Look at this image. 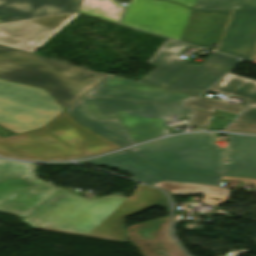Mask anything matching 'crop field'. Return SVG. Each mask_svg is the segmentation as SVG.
<instances>
[{"mask_svg":"<svg viewBox=\"0 0 256 256\" xmlns=\"http://www.w3.org/2000/svg\"><path fill=\"white\" fill-rule=\"evenodd\" d=\"M162 192L139 184L130 198L88 199L57 188L22 221L33 229L128 243L125 217L158 205Z\"/></svg>","mask_w":256,"mask_h":256,"instance_id":"8a807250","label":"crop field"},{"mask_svg":"<svg viewBox=\"0 0 256 256\" xmlns=\"http://www.w3.org/2000/svg\"><path fill=\"white\" fill-rule=\"evenodd\" d=\"M68 112L82 125L126 146L168 134L165 117L188 116L181 105L84 96Z\"/></svg>","mask_w":256,"mask_h":256,"instance_id":"ac0d7876","label":"crop field"},{"mask_svg":"<svg viewBox=\"0 0 256 256\" xmlns=\"http://www.w3.org/2000/svg\"><path fill=\"white\" fill-rule=\"evenodd\" d=\"M119 148L79 125L67 112L43 129L0 137V156L23 160H68Z\"/></svg>","mask_w":256,"mask_h":256,"instance_id":"34b2d1b8","label":"crop field"},{"mask_svg":"<svg viewBox=\"0 0 256 256\" xmlns=\"http://www.w3.org/2000/svg\"><path fill=\"white\" fill-rule=\"evenodd\" d=\"M109 74L0 45V78L47 88L68 108Z\"/></svg>","mask_w":256,"mask_h":256,"instance_id":"412701ff","label":"crop field"},{"mask_svg":"<svg viewBox=\"0 0 256 256\" xmlns=\"http://www.w3.org/2000/svg\"><path fill=\"white\" fill-rule=\"evenodd\" d=\"M187 46L167 39L147 61L157 66L139 82L198 96L240 62L235 57L213 53L200 65L193 64L176 56Z\"/></svg>","mask_w":256,"mask_h":256,"instance_id":"f4fd0767","label":"crop field"},{"mask_svg":"<svg viewBox=\"0 0 256 256\" xmlns=\"http://www.w3.org/2000/svg\"><path fill=\"white\" fill-rule=\"evenodd\" d=\"M215 133L179 135L129 149L141 160L164 170L220 175L224 149Z\"/></svg>","mask_w":256,"mask_h":256,"instance_id":"dd49c442","label":"crop field"},{"mask_svg":"<svg viewBox=\"0 0 256 256\" xmlns=\"http://www.w3.org/2000/svg\"><path fill=\"white\" fill-rule=\"evenodd\" d=\"M62 112L45 90L0 80V126L15 133L40 129Z\"/></svg>","mask_w":256,"mask_h":256,"instance_id":"e52e79f7","label":"crop field"},{"mask_svg":"<svg viewBox=\"0 0 256 256\" xmlns=\"http://www.w3.org/2000/svg\"><path fill=\"white\" fill-rule=\"evenodd\" d=\"M57 187L35 175V163L0 159V212L24 217Z\"/></svg>","mask_w":256,"mask_h":256,"instance_id":"d8731c3e","label":"crop field"},{"mask_svg":"<svg viewBox=\"0 0 256 256\" xmlns=\"http://www.w3.org/2000/svg\"><path fill=\"white\" fill-rule=\"evenodd\" d=\"M190 11L169 1L131 0L121 23L180 40Z\"/></svg>","mask_w":256,"mask_h":256,"instance_id":"5a996713","label":"crop field"},{"mask_svg":"<svg viewBox=\"0 0 256 256\" xmlns=\"http://www.w3.org/2000/svg\"><path fill=\"white\" fill-rule=\"evenodd\" d=\"M78 13L0 24V44L33 53Z\"/></svg>","mask_w":256,"mask_h":256,"instance_id":"3316defc","label":"crop field"},{"mask_svg":"<svg viewBox=\"0 0 256 256\" xmlns=\"http://www.w3.org/2000/svg\"><path fill=\"white\" fill-rule=\"evenodd\" d=\"M83 162L123 170L131 175H134L132 179L148 184L162 180H172L217 185L220 179V177L210 175L164 172L158 168L140 161L127 151L102 158L85 160Z\"/></svg>","mask_w":256,"mask_h":256,"instance_id":"28ad6ade","label":"crop field"},{"mask_svg":"<svg viewBox=\"0 0 256 256\" xmlns=\"http://www.w3.org/2000/svg\"><path fill=\"white\" fill-rule=\"evenodd\" d=\"M86 95L182 104L192 98L173 91L110 75Z\"/></svg>","mask_w":256,"mask_h":256,"instance_id":"d1516ede","label":"crop field"},{"mask_svg":"<svg viewBox=\"0 0 256 256\" xmlns=\"http://www.w3.org/2000/svg\"><path fill=\"white\" fill-rule=\"evenodd\" d=\"M128 237L144 256H186L170 238L169 216L130 226Z\"/></svg>","mask_w":256,"mask_h":256,"instance_id":"22f410ed","label":"crop field"},{"mask_svg":"<svg viewBox=\"0 0 256 256\" xmlns=\"http://www.w3.org/2000/svg\"><path fill=\"white\" fill-rule=\"evenodd\" d=\"M256 43V11L233 10L216 51L249 59Z\"/></svg>","mask_w":256,"mask_h":256,"instance_id":"cbeb9de0","label":"crop field"},{"mask_svg":"<svg viewBox=\"0 0 256 256\" xmlns=\"http://www.w3.org/2000/svg\"><path fill=\"white\" fill-rule=\"evenodd\" d=\"M82 0H0V23L76 12Z\"/></svg>","mask_w":256,"mask_h":256,"instance_id":"5142ce71","label":"crop field"},{"mask_svg":"<svg viewBox=\"0 0 256 256\" xmlns=\"http://www.w3.org/2000/svg\"><path fill=\"white\" fill-rule=\"evenodd\" d=\"M229 12L192 11L181 41L211 48L217 43Z\"/></svg>","mask_w":256,"mask_h":256,"instance_id":"d9b57169","label":"crop field"},{"mask_svg":"<svg viewBox=\"0 0 256 256\" xmlns=\"http://www.w3.org/2000/svg\"><path fill=\"white\" fill-rule=\"evenodd\" d=\"M223 175L256 178V138L230 135Z\"/></svg>","mask_w":256,"mask_h":256,"instance_id":"733c2abd","label":"crop field"},{"mask_svg":"<svg viewBox=\"0 0 256 256\" xmlns=\"http://www.w3.org/2000/svg\"><path fill=\"white\" fill-rule=\"evenodd\" d=\"M209 90L247 100L251 107L235 121L256 122V81L228 74Z\"/></svg>","mask_w":256,"mask_h":256,"instance_id":"4a817a6b","label":"crop field"},{"mask_svg":"<svg viewBox=\"0 0 256 256\" xmlns=\"http://www.w3.org/2000/svg\"><path fill=\"white\" fill-rule=\"evenodd\" d=\"M174 194L185 196L198 193H205L204 200L220 204L228 200L230 189L221 188L213 185L181 183L172 181H162L152 184Z\"/></svg>","mask_w":256,"mask_h":256,"instance_id":"bc2a9ffb","label":"crop field"},{"mask_svg":"<svg viewBox=\"0 0 256 256\" xmlns=\"http://www.w3.org/2000/svg\"><path fill=\"white\" fill-rule=\"evenodd\" d=\"M123 10L120 3L113 0H83L78 11L118 23Z\"/></svg>","mask_w":256,"mask_h":256,"instance_id":"214f88e0","label":"crop field"},{"mask_svg":"<svg viewBox=\"0 0 256 256\" xmlns=\"http://www.w3.org/2000/svg\"><path fill=\"white\" fill-rule=\"evenodd\" d=\"M208 113H213L214 108L227 111L233 114L239 115L243 112L246 107L235 103L234 105L228 104V102H221L214 99L200 98L198 100H193L185 104Z\"/></svg>","mask_w":256,"mask_h":256,"instance_id":"92a150f3","label":"crop field"},{"mask_svg":"<svg viewBox=\"0 0 256 256\" xmlns=\"http://www.w3.org/2000/svg\"><path fill=\"white\" fill-rule=\"evenodd\" d=\"M233 4H238L240 8H233ZM193 8L196 10L241 8L256 10V0H196Z\"/></svg>","mask_w":256,"mask_h":256,"instance_id":"dafd665d","label":"crop field"},{"mask_svg":"<svg viewBox=\"0 0 256 256\" xmlns=\"http://www.w3.org/2000/svg\"><path fill=\"white\" fill-rule=\"evenodd\" d=\"M224 130L256 134V124L232 122Z\"/></svg>","mask_w":256,"mask_h":256,"instance_id":"00972430","label":"crop field"},{"mask_svg":"<svg viewBox=\"0 0 256 256\" xmlns=\"http://www.w3.org/2000/svg\"><path fill=\"white\" fill-rule=\"evenodd\" d=\"M211 117H212L211 115L202 113V112L197 110L191 124L199 126L198 129H206L208 124H209V121H210Z\"/></svg>","mask_w":256,"mask_h":256,"instance_id":"a9b5d70f","label":"crop field"},{"mask_svg":"<svg viewBox=\"0 0 256 256\" xmlns=\"http://www.w3.org/2000/svg\"><path fill=\"white\" fill-rule=\"evenodd\" d=\"M228 123H230V121L213 116L207 129H222Z\"/></svg>","mask_w":256,"mask_h":256,"instance_id":"4177f3b9","label":"crop field"},{"mask_svg":"<svg viewBox=\"0 0 256 256\" xmlns=\"http://www.w3.org/2000/svg\"><path fill=\"white\" fill-rule=\"evenodd\" d=\"M222 179L244 181V182H245V184L254 185V186H255V188H256V179H249V178H234V177H223Z\"/></svg>","mask_w":256,"mask_h":256,"instance_id":"730fd06b","label":"crop field"},{"mask_svg":"<svg viewBox=\"0 0 256 256\" xmlns=\"http://www.w3.org/2000/svg\"><path fill=\"white\" fill-rule=\"evenodd\" d=\"M214 115H217V116H221V117H224V118H227V119H231L233 120L235 117H237V115H233V114H230V113H226V112H223V111H220V110H214Z\"/></svg>","mask_w":256,"mask_h":256,"instance_id":"eef30255","label":"crop field"},{"mask_svg":"<svg viewBox=\"0 0 256 256\" xmlns=\"http://www.w3.org/2000/svg\"><path fill=\"white\" fill-rule=\"evenodd\" d=\"M171 1L186 5L191 8L193 7V4L195 2V0H171Z\"/></svg>","mask_w":256,"mask_h":256,"instance_id":"ae1a2a85","label":"crop field"},{"mask_svg":"<svg viewBox=\"0 0 256 256\" xmlns=\"http://www.w3.org/2000/svg\"><path fill=\"white\" fill-rule=\"evenodd\" d=\"M159 205H160V207H169L168 200H167L165 194H163L162 200Z\"/></svg>","mask_w":256,"mask_h":256,"instance_id":"d3111659","label":"crop field"},{"mask_svg":"<svg viewBox=\"0 0 256 256\" xmlns=\"http://www.w3.org/2000/svg\"><path fill=\"white\" fill-rule=\"evenodd\" d=\"M250 59H251V60L256 59V46H255V48H254V51H253L252 56H251Z\"/></svg>","mask_w":256,"mask_h":256,"instance_id":"750c4746","label":"crop field"},{"mask_svg":"<svg viewBox=\"0 0 256 256\" xmlns=\"http://www.w3.org/2000/svg\"><path fill=\"white\" fill-rule=\"evenodd\" d=\"M170 197H171V199H172V201L174 200V196H172L171 194H170Z\"/></svg>","mask_w":256,"mask_h":256,"instance_id":"bd1437ed","label":"crop field"}]
</instances>
